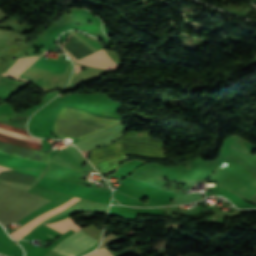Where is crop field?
<instances>
[{
  "label": "crop field",
  "instance_id": "crop-field-15",
  "mask_svg": "<svg viewBox=\"0 0 256 256\" xmlns=\"http://www.w3.org/2000/svg\"><path fill=\"white\" fill-rule=\"evenodd\" d=\"M114 196V195H113ZM121 201V200H120ZM123 202V201H122ZM125 203V202H124Z\"/></svg>",
  "mask_w": 256,
  "mask_h": 256
},
{
  "label": "crop field",
  "instance_id": "crop-field-4",
  "mask_svg": "<svg viewBox=\"0 0 256 256\" xmlns=\"http://www.w3.org/2000/svg\"><path fill=\"white\" fill-rule=\"evenodd\" d=\"M98 241L88 236L82 230L70 235L60 244H58L52 251L62 256H77L84 250L93 246Z\"/></svg>",
  "mask_w": 256,
  "mask_h": 256
},
{
  "label": "crop field",
  "instance_id": "crop-field-1",
  "mask_svg": "<svg viewBox=\"0 0 256 256\" xmlns=\"http://www.w3.org/2000/svg\"><path fill=\"white\" fill-rule=\"evenodd\" d=\"M120 122L117 118L101 116L75 108L64 107L54 123L58 136L83 138Z\"/></svg>",
  "mask_w": 256,
  "mask_h": 256
},
{
  "label": "crop field",
  "instance_id": "crop-field-13",
  "mask_svg": "<svg viewBox=\"0 0 256 256\" xmlns=\"http://www.w3.org/2000/svg\"><path fill=\"white\" fill-rule=\"evenodd\" d=\"M74 65H75V73L79 72V71H80V66L77 65V64H74ZM75 73H74V74H75Z\"/></svg>",
  "mask_w": 256,
  "mask_h": 256
},
{
  "label": "crop field",
  "instance_id": "crop-field-6",
  "mask_svg": "<svg viewBox=\"0 0 256 256\" xmlns=\"http://www.w3.org/2000/svg\"><path fill=\"white\" fill-rule=\"evenodd\" d=\"M79 198H72L70 201L58 206L55 209H52L42 215H40L39 217L33 219L32 221H30L29 223H27L26 225H24L23 227H21L20 229H18L17 231L13 232L12 234H10L15 240H18L20 238H22L26 233H28L35 225H37L39 222H41L42 220L64 210L65 208H67L68 206H70L71 204H73L74 202L78 201Z\"/></svg>",
  "mask_w": 256,
  "mask_h": 256
},
{
  "label": "crop field",
  "instance_id": "crop-field-8",
  "mask_svg": "<svg viewBox=\"0 0 256 256\" xmlns=\"http://www.w3.org/2000/svg\"><path fill=\"white\" fill-rule=\"evenodd\" d=\"M37 57L38 56L21 57L17 59L15 63L2 74L17 78L26 68H28L35 61Z\"/></svg>",
  "mask_w": 256,
  "mask_h": 256
},
{
  "label": "crop field",
  "instance_id": "crop-field-3",
  "mask_svg": "<svg viewBox=\"0 0 256 256\" xmlns=\"http://www.w3.org/2000/svg\"><path fill=\"white\" fill-rule=\"evenodd\" d=\"M122 152L163 157L161 142L150 140L145 133L123 134L121 137ZM128 159L124 154L117 158L100 161L95 167L102 174Z\"/></svg>",
  "mask_w": 256,
  "mask_h": 256
},
{
  "label": "crop field",
  "instance_id": "crop-field-12",
  "mask_svg": "<svg viewBox=\"0 0 256 256\" xmlns=\"http://www.w3.org/2000/svg\"><path fill=\"white\" fill-rule=\"evenodd\" d=\"M90 256H113L109 251H107L105 248L103 249H100L98 251H95V252H92V253H89ZM88 254L87 255H84V256H89Z\"/></svg>",
  "mask_w": 256,
  "mask_h": 256
},
{
  "label": "crop field",
  "instance_id": "crop-field-11",
  "mask_svg": "<svg viewBox=\"0 0 256 256\" xmlns=\"http://www.w3.org/2000/svg\"><path fill=\"white\" fill-rule=\"evenodd\" d=\"M48 226L60 231V232H65L67 231L68 229H73L75 231L79 230L80 227L77 226L73 221L72 219L69 217L67 219H64V220H61V221H58V222H55L53 224H48Z\"/></svg>",
  "mask_w": 256,
  "mask_h": 256
},
{
  "label": "crop field",
  "instance_id": "crop-field-7",
  "mask_svg": "<svg viewBox=\"0 0 256 256\" xmlns=\"http://www.w3.org/2000/svg\"><path fill=\"white\" fill-rule=\"evenodd\" d=\"M120 142L119 139H116L111 144L99 148H95L90 151L89 159L93 166L99 161L103 159H108L112 157H116L119 155Z\"/></svg>",
  "mask_w": 256,
  "mask_h": 256
},
{
  "label": "crop field",
  "instance_id": "crop-field-5",
  "mask_svg": "<svg viewBox=\"0 0 256 256\" xmlns=\"http://www.w3.org/2000/svg\"><path fill=\"white\" fill-rule=\"evenodd\" d=\"M70 35H72L74 38H76L78 41H80L82 44H84L86 47H88L93 52L96 51L93 47H91L89 44H87L85 41H83L81 38H79L74 33H71ZM89 57L96 64V66L98 68L115 69L116 67H118L115 64V62L107 55V53L103 49H101V50H99V51H97L95 53H92L91 55H89ZM89 57L88 56L83 57V58H81V59H79L78 61H75V62L84 64L86 66L96 67L95 64L90 60ZM71 59L74 61L73 58H71Z\"/></svg>",
  "mask_w": 256,
  "mask_h": 256
},
{
  "label": "crop field",
  "instance_id": "crop-field-14",
  "mask_svg": "<svg viewBox=\"0 0 256 256\" xmlns=\"http://www.w3.org/2000/svg\"><path fill=\"white\" fill-rule=\"evenodd\" d=\"M3 170H12V169H9V168H6V167H3V166H0V171H3Z\"/></svg>",
  "mask_w": 256,
  "mask_h": 256
},
{
  "label": "crop field",
  "instance_id": "crop-field-2",
  "mask_svg": "<svg viewBox=\"0 0 256 256\" xmlns=\"http://www.w3.org/2000/svg\"><path fill=\"white\" fill-rule=\"evenodd\" d=\"M0 129L25 134L23 130L0 124ZM0 130V134L41 144L37 138ZM0 135V141L41 151V145ZM0 142V152L48 163L50 153L39 152Z\"/></svg>",
  "mask_w": 256,
  "mask_h": 256
},
{
  "label": "crop field",
  "instance_id": "crop-field-9",
  "mask_svg": "<svg viewBox=\"0 0 256 256\" xmlns=\"http://www.w3.org/2000/svg\"><path fill=\"white\" fill-rule=\"evenodd\" d=\"M69 66H70V64H69ZM69 66H68V70H69ZM67 73H68V71L66 73L58 75V76L42 77L32 83H34L35 85H37L44 91L49 90L51 88H61Z\"/></svg>",
  "mask_w": 256,
  "mask_h": 256
},
{
  "label": "crop field",
  "instance_id": "crop-field-10",
  "mask_svg": "<svg viewBox=\"0 0 256 256\" xmlns=\"http://www.w3.org/2000/svg\"><path fill=\"white\" fill-rule=\"evenodd\" d=\"M37 179L36 176L26 175L22 173L7 171L0 173V180L13 181L17 183H23L32 186L34 181Z\"/></svg>",
  "mask_w": 256,
  "mask_h": 256
},
{
  "label": "crop field",
  "instance_id": "crop-field-16",
  "mask_svg": "<svg viewBox=\"0 0 256 256\" xmlns=\"http://www.w3.org/2000/svg\"><path fill=\"white\" fill-rule=\"evenodd\" d=\"M247 211V210H246Z\"/></svg>",
  "mask_w": 256,
  "mask_h": 256
}]
</instances>
